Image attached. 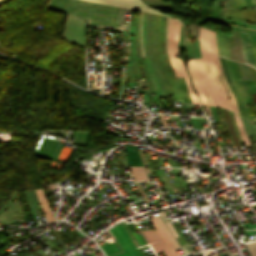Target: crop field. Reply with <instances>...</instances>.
<instances>
[{
    "label": "crop field",
    "mask_w": 256,
    "mask_h": 256,
    "mask_svg": "<svg viewBox=\"0 0 256 256\" xmlns=\"http://www.w3.org/2000/svg\"><path fill=\"white\" fill-rule=\"evenodd\" d=\"M243 21L256 22V8L243 10Z\"/></svg>",
    "instance_id": "17"
},
{
    "label": "crop field",
    "mask_w": 256,
    "mask_h": 256,
    "mask_svg": "<svg viewBox=\"0 0 256 256\" xmlns=\"http://www.w3.org/2000/svg\"><path fill=\"white\" fill-rule=\"evenodd\" d=\"M129 168L133 174L134 180L149 181L143 170V167H129Z\"/></svg>",
    "instance_id": "14"
},
{
    "label": "crop field",
    "mask_w": 256,
    "mask_h": 256,
    "mask_svg": "<svg viewBox=\"0 0 256 256\" xmlns=\"http://www.w3.org/2000/svg\"><path fill=\"white\" fill-rule=\"evenodd\" d=\"M233 62H234V61H233ZM233 62H232V64H233ZM234 65H235V67H236L235 62H234ZM234 65H233V70H234L235 76H236V78H237L238 84H239V86H240V88H241L243 94H244L245 97H246L247 103L250 104V102L252 103V97L249 95V91H248V89H247L245 83L247 84V86H248V88H249V90H250L251 93H252L251 88L253 89L254 92H256V84H255L254 80H248V82H249V84H250V86H251V88H250V86H249V84L247 83L246 80H244L245 83L243 82V80H240L241 83H242V85H243V87H244V89H245V91H246V93H247L248 96H249V99H250V102H249V99H248V97H247V95H246V93H245V91H244V89H243V87H242L240 81L238 80V76H239V75L237 76L238 71H237V73H236L237 68H236V70H235ZM239 79H240V78H239Z\"/></svg>",
    "instance_id": "10"
},
{
    "label": "crop field",
    "mask_w": 256,
    "mask_h": 256,
    "mask_svg": "<svg viewBox=\"0 0 256 256\" xmlns=\"http://www.w3.org/2000/svg\"><path fill=\"white\" fill-rule=\"evenodd\" d=\"M178 28L179 22L174 19L169 18V28H168V54L170 57L171 67L174 70L175 77H183L185 76L186 84L188 91L191 95V99L193 103L200 104L198 97L192 91L188 74L184 68L183 62L181 59H177L175 56L179 55L178 50Z\"/></svg>",
    "instance_id": "2"
},
{
    "label": "crop field",
    "mask_w": 256,
    "mask_h": 256,
    "mask_svg": "<svg viewBox=\"0 0 256 256\" xmlns=\"http://www.w3.org/2000/svg\"><path fill=\"white\" fill-rule=\"evenodd\" d=\"M201 52H202V59H194V60H195L197 72L200 76V79L202 81L203 87L205 89V92L207 94L210 104L220 106V107H226L231 110V106H230L228 97H227L225 90L216 74L214 64L212 61L211 51L201 43ZM204 63H205V65L207 63V65L210 69V74L207 73ZM212 69L214 71V74L219 82V85H220L223 93L221 92V90L216 82V79H215Z\"/></svg>",
    "instance_id": "1"
},
{
    "label": "crop field",
    "mask_w": 256,
    "mask_h": 256,
    "mask_svg": "<svg viewBox=\"0 0 256 256\" xmlns=\"http://www.w3.org/2000/svg\"><path fill=\"white\" fill-rule=\"evenodd\" d=\"M219 57H220V56H219ZM227 60H228V59H227ZM227 60L224 58L225 65H226V69H227L228 74H229L230 79H231V83L234 84L233 78H232V74H233V71H232V64H231V61L228 60L229 67H230V70H231V72H232V74H231V72H230V70H229V67H228V64H227ZM220 61H221V64H222V66H223V68H224L225 77H226V79H227V81H228V83H229V85H230V84H231V83H230V79H229V76H228L227 71H226V69H225V65H224V61H223V58H222V57H220ZM233 77H234V74H233ZM234 80H235V77H234ZM235 83H236V85H237V87H238V90H239V92H240L242 98L244 99V96H243V94H242V92H241V90H240V88H239V86H238L236 80H235ZM230 88H231V90H232V92H233L235 98H236V99H241L240 94H239V92H238L236 86H235V85H231ZM236 101H237V105H238V107H239V111L241 110V105H242V109H245V106H246L249 120H251V117H250V114H249V111H248V108H247L246 100H245V99L243 100L244 103H245V106H244V103H243L242 100H240V101H241V105H240L239 100H236ZM241 113H242V116H244L245 118H247V117H246V112H245V110H242ZM241 113H240V114H241Z\"/></svg>",
    "instance_id": "6"
},
{
    "label": "crop field",
    "mask_w": 256,
    "mask_h": 256,
    "mask_svg": "<svg viewBox=\"0 0 256 256\" xmlns=\"http://www.w3.org/2000/svg\"><path fill=\"white\" fill-rule=\"evenodd\" d=\"M138 64V63H137ZM137 64L135 63V65H136V69H137V73H138V77L140 78V76H139V72H138V68H137ZM135 65H134V68H135ZM136 69H135V72H136ZM137 73H136V76H137ZM137 77V78H138Z\"/></svg>",
    "instance_id": "29"
},
{
    "label": "crop field",
    "mask_w": 256,
    "mask_h": 256,
    "mask_svg": "<svg viewBox=\"0 0 256 256\" xmlns=\"http://www.w3.org/2000/svg\"><path fill=\"white\" fill-rule=\"evenodd\" d=\"M218 43H219V48H220V55L224 56V57H228V53H227L228 45L226 48V37L219 33H218ZM218 43H217V48H218ZM218 52H219V49H218ZM229 58H230V56H229Z\"/></svg>",
    "instance_id": "15"
},
{
    "label": "crop field",
    "mask_w": 256,
    "mask_h": 256,
    "mask_svg": "<svg viewBox=\"0 0 256 256\" xmlns=\"http://www.w3.org/2000/svg\"><path fill=\"white\" fill-rule=\"evenodd\" d=\"M87 1L104 3V4H108L116 7H122L126 9H131V10H141L142 14H143V11L151 12L155 14H163L158 10H155L146 6L140 0H87ZM141 25H142V16H141V22H140V40H141V48H142ZM167 27H168V18H167V25H166V51H167ZM142 54H143V48H142ZM143 59H144V55H143Z\"/></svg>",
    "instance_id": "5"
},
{
    "label": "crop field",
    "mask_w": 256,
    "mask_h": 256,
    "mask_svg": "<svg viewBox=\"0 0 256 256\" xmlns=\"http://www.w3.org/2000/svg\"><path fill=\"white\" fill-rule=\"evenodd\" d=\"M250 68H251V71H252L253 77H254V79H255V81H256V78H255V75H254L253 69H252V67H250ZM255 70H256V69H255Z\"/></svg>",
    "instance_id": "31"
},
{
    "label": "crop field",
    "mask_w": 256,
    "mask_h": 256,
    "mask_svg": "<svg viewBox=\"0 0 256 256\" xmlns=\"http://www.w3.org/2000/svg\"><path fill=\"white\" fill-rule=\"evenodd\" d=\"M242 34H243L244 45H245V48H246V51H247L249 63H250L251 66L256 67V62H255L254 54H253V51H252V48H251L249 36H248V34H245V33H242ZM239 35H240V38H241L242 53H243L245 62L247 64H249L247 56H246L245 48H244V45H243V41H242V35H241L240 31H239Z\"/></svg>",
    "instance_id": "8"
},
{
    "label": "crop field",
    "mask_w": 256,
    "mask_h": 256,
    "mask_svg": "<svg viewBox=\"0 0 256 256\" xmlns=\"http://www.w3.org/2000/svg\"><path fill=\"white\" fill-rule=\"evenodd\" d=\"M236 63H237V62H236ZM237 67H238V71H239V74H240V78L243 79V78H242V75H241V72H240V69H239V66H238V63H237Z\"/></svg>",
    "instance_id": "30"
},
{
    "label": "crop field",
    "mask_w": 256,
    "mask_h": 256,
    "mask_svg": "<svg viewBox=\"0 0 256 256\" xmlns=\"http://www.w3.org/2000/svg\"><path fill=\"white\" fill-rule=\"evenodd\" d=\"M251 256H256V242L246 245Z\"/></svg>",
    "instance_id": "20"
},
{
    "label": "crop field",
    "mask_w": 256,
    "mask_h": 256,
    "mask_svg": "<svg viewBox=\"0 0 256 256\" xmlns=\"http://www.w3.org/2000/svg\"><path fill=\"white\" fill-rule=\"evenodd\" d=\"M152 25H153V15H152ZM151 39H152V27H151ZM152 49H153V39H152ZM153 52H155L154 49H153ZM153 55H154L155 62H156V66H157V61H156L155 53H153ZM157 68H158V66H157ZM158 70H159V68H158ZM159 72H160V71H159ZM160 77H161V79H162V81H163L164 88H165V92H166V94H167L169 91L167 92V89H168V88L166 89V86H167V85L165 86V83H166V82L164 83V80H163L161 74H160Z\"/></svg>",
    "instance_id": "21"
},
{
    "label": "crop field",
    "mask_w": 256,
    "mask_h": 256,
    "mask_svg": "<svg viewBox=\"0 0 256 256\" xmlns=\"http://www.w3.org/2000/svg\"><path fill=\"white\" fill-rule=\"evenodd\" d=\"M229 113H230V116H231L232 123H233V125H234V127H235L236 133H237V135H238L239 141L241 142L242 140H241V137H240V134H239V131H238L236 122H235V120H234L233 114H232V112H230V111H229Z\"/></svg>",
    "instance_id": "23"
},
{
    "label": "crop field",
    "mask_w": 256,
    "mask_h": 256,
    "mask_svg": "<svg viewBox=\"0 0 256 256\" xmlns=\"http://www.w3.org/2000/svg\"><path fill=\"white\" fill-rule=\"evenodd\" d=\"M160 19H161V15H159V24H158V52H160L159 51V33H160ZM156 28H157V18H156ZM155 49H156V40H155ZM156 52H157V50H156ZM157 57H158V53H157ZM159 58H160V62H161V55H160V53H159ZM160 65V64H159ZM161 66H162V63H161ZM161 68V67H160ZM162 68H163V66H162ZM161 71H162V69H161ZM163 71H164V69H163ZM162 71V72H163ZM165 73V72H164ZM166 75V74H165ZM167 77V76H166ZM167 79H168V77H167ZM168 81H169V79H168ZM169 83H170V81H169ZM169 85V84H168ZM170 86H171V89H172V92H173V95H174V91H173V88H172V85H171V83H170ZM170 86H169V88H170ZM170 89V90H171ZM172 92H171V94H172ZM173 95H172V98H173ZM174 99L176 100V97H175V95H174ZM177 101V100H176Z\"/></svg>",
    "instance_id": "19"
},
{
    "label": "crop field",
    "mask_w": 256,
    "mask_h": 256,
    "mask_svg": "<svg viewBox=\"0 0 256 256\" xmlns=\"http://www.w3.org/2000/svg\"><path fill=\"white\" fill-rule=\"evenodd\" d=\"M180 79H181V78H180ZM180 79L178 78L179 83H180V85H181V88H182V90H183V92H184V89H185V86H186V85L184 86L185 83L183 84L184 79L182 78L183 81H182V79H181V81H182V84H183V87H184V89H183ZM176 80H177V79H176ZM178 80H177V82H178ZM179 83H178V84H179ZM186 90H187V88H186ZM185 92H186V91H185ZM185 92H184V95H185ZM187 92H188V91H187ZM182 94H183V93H182ZM184 95H183V98H184V102L186 103L187 98H186V101H185V97H186L187 93H186L185 97H184ZM187 97H188V95H187ZM188 101H189V98H188ZM188 101H187V103H188ZM190 101H191V100H190ZM189 103H190V102H189ZM191 103H192V102H191Z\"/></svg>",
    "instance_id": "24"
},
{
    "label": "crop field",
    "mask_w": 256,
    "mask_h": 256,
    "mask_svg": "<svg viewBox=\"0 0 256 256\" xmlns=\"http://www.w3.org/2000/svg\"><path fill=\"white\" fill-rule=\"evenodd\" d=\"M249 36H250L251 44H252L253 51H254V54H255V58H256V42H255V39L252 35L249 34Z\"/></svg>",
    "instance_id": "25"
},
{
    "label": "crop field",
    "mask_w": 256,
    "mask_h": 256,
    "mask_svg": "<svg viewBox=\"0 0 256 256\" xmlns=\"http://www.w3.org/2000/svg\"><path fill=\"white\" fill-rule=\"evenodd\" d=\"M211 41H212V51H213L214 53H217L215 32L211 33ZM217 54H218V53H217Z\"/></svg>",
    "instance_id": "22"
},
{
    "label": "crop field",
    "mask_w": 256,
    "mask_h": 256,
    "mask_svg": "<svg viewBox=\"0 0 256 256\" xmlns=\"http://www.w3.org/2000/svg\"><path fill=\"white\" fill-rule=\"evenodd\" d=\"M111 238L104 240L107 244L100 246L106 255L119 252L113 241L117 240L124 252L113 256H141L121 224L107 231Z\"/></svg>",
    "instance_id": "3"
},
{
    "label": "crop field",
    "mask_w": 256,
    "mask_h": 256,
    "mask_svg": "<svg viewBox=\"0 0 256 256\" xmlns=\"http://www.w3.org/2000/svg\"><path fill=\"white\" fill-rule=\"evenodd\" d=\"M188 67H189V71H190V74H191V77H192L194 88L196 89V91L198 92V94L200 96L201 103L202 104H209V102H208V100L205 96V93H204L202 84L200 82L199 76L196 72L193 59L188 61Z\"/></svg>",
    "instance_id": "7"
},
{
    "label": "crop field",
    "mask_w": 256,
    "mask_h": 256,
    "mask_svg": "<svg viewBox=\"0 0 256 256\" xmlns=\"http://www.w3.org/2000/svg\"><path fill=\"white\" fill-rule=\"evenodd\" d=\"M150 217L152 218V220H149V221L156 231L143 232L148 242H153V241L157 242L152 245L156 253L163 252L165 256H178V253L176 252V250L173 249V247L171 246V244L169 243V241L161 231L160 227L156 223L153 215H151Z\"/></svg>",
    "instance_id": "4"
},
{
    "label": "crop field",
    "mask_w": 256,
    "mask_h": 256,
    "mask_svg": "<svg viewBox=\"0 0 256 256\" xmlns=\"http://www.w3.org/2000/svg\"><path fill=\"white\" fill-rule=\"evenodd\" d=\"M245 1H246L247 7H249V6H256V0H248L249 1V6H248V1L247 0H245Z\"/></svg>",
    "instance_id": "26"
},
{
    "label": "crop field",
    "mask_w": 256,
    "mask_h": 256,
    "mask_svg": "<svg viewBox=\"0 0 256 256\" xmlns=\"http://www.w3.org/2000/svg\"><path fill=\"white\" fill-rule=\"evenodd\" d=\"M200 40L211 49L210 31L200 27Z\"/></svg>",
    "instance_id": "18"
},
{
    "label": "crop field",
    "mask_w": 256,
    "mask_h": 256,
    "mask_svg": "<svg viewBox=\"0 0 256 256\" xmlns=\"http://www.w3.org/2000/svg\"><path fill=\"white\" fill-rule=\"evenodd\" d=\"M241 3H242V8H244L245 7L244 0H241ZM241 3H240V0H237L236 8H241Z\"/></svg>",
    "instance_id": "27"
},
{
    "label": "crop field",
    "mask_w": 256,
    "mask_h": 256,
    "mask_svg": "<svg viewBox=\"0 0 256 256\" xmlns=\"http://www.w3.org/2000/svg\"><path fill=\"white\" fill-rule=\"evenodd\" d=\"M212 55H213V61H214L215 67L217 69V74L220 77L221 81L224 83L223 79L220 76V72H219V69H218V66H219V68L221 70V66H220V62H219V57L217 55H215L214 53H212ZM217 64H218V66H217ZM221 73H222V70H221ZM222 75H223V73H222ZM223 78H224V80L226 82V79H225L224 75H223ZM226 84H227V82H226ZM224 85H225V83H224ZM227 86H228V84H227ZM227 86L225 85V88H226V91H227V93L229 95L230 102H231V105H232V109H233V111L239 113L238 112V107H237L236 102H235V99H234L231 91H229L230 89L228 90L229 87L227 88Z\"/></svg>",
    "instance_id": "11"
},
{
    "label": "crop field",
    "mask_w": 256,
    "mask_h": 256,
    "mask_svg": "<svg viewBox=\"0 0 256 256\" xmlns=\"http://www.w3.org/2000/svg\"><path fill=\"white\" fill-rule=\"evenodd\" d=\"M184 43H185V45H189V44H190V40L184 39ZM187 47H188L189 55L191 56V54H190V48H189V46H187ZM186 49H187V48H186ZM187 54H188V52H187Z\"/></svg>",
    "instance_id": "28"
},
{
    "label": "crop field",
    "mask_w": 256,
    "mask_h": 256,
    "mask_svg": "<svg viewBox=\"0 0 256 256\" xmlns=\"http://www.w3.org/2000/svg\"><path fill=\"white\" fill-rule=\"evenodd\" d=\"M235 3H236V0H232V3H231L230 7L234 8L235 7ZM228 10L229 9H221L215 17L223 20V18L226 16ZM233 11H234V9L230 8V10H229V12L227 14V17L231 18L232 15H233ZM232 18L242 21V10H235L234 15H233Z\"/></svg>",
    "instance_id": "9"
},
{
    "label": "crop field",
    "mask_w": 256,
    "mask_h": 256,
    "mask_svg": "<svg viewBox=\"0 0 256 256\" xmlns=\"http://www.w3.org/2000/svg\"><path fill=\"white\" fill-rule=\"evenodd\" d=\"M234 117H235V120L237 122V125H238V128H239V131H240V134H241L244 145L245 146H250L251 144H250V142H249V140L246 136L245 130L243 128L241 117L238 116V115H235V114H234Z\"/></svg>",
    "instance_id": "16"
},
{
    "label": "crop field",
    "mask_w": 256,
    "mask_h": 256,
    "mask_svg": "<svg viewBox=\"0 0 256 256\" xmlns=\"http://www.w3.org/2000/svg\"><path fill=\"white\" fill-rule=\"evenodd\" d=\"M156 221L158 222V224L160 225L161 229L163 230V232L165 233V235L167 236V238L169 239L170 243L172 244V246L174 247V249L179 248V245L177 244V242L175 241V239L173 238V236L171 235V233L169 232V230L167 229L166 225L164 224V222L162 221L161 217L156 218Z\"/></svg>",
    "instance_id": "13"
},
{
    "label": "crop field",
    "mask_w": 256,
    "mask_h": 256,
    "mask_svg": "<svg viewBox=\"0 0 256 256\" xmlns=\"http://www.w3.org/2000/svg\"><path fill=\"white\" fill-rule=\"evenodd\" d=\"M35 191L37 193V196L39 198V201L41 203V206H42V209L44 211V214L46 216L47 221L48 222L54 221V218H53V216L51 214L50 207H49L48 202H47V200H46V198L44 196L43 190L42 189H38V190H35Z\"/></svg>",
    "instance_id": "12"
}]
</instances>
